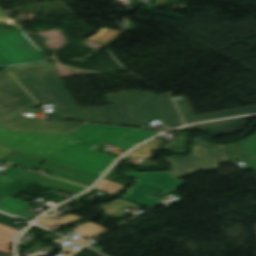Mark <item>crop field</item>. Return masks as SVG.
Returning <instances> with one entry per match:
<instances>
[{"label": "crop field", "mask_w": 256, "mask_h": 256, "mask_svg": "<svg viewBox=\"0 0 256 256\" xmlns=\"http://www.w3.org/2000/svg\"><path fill=\"white\" fill-rule=\"evenodd\" d=\"M104 97L109 107L80 108L87 122L139 128L155 119L171 128L183 124L168 93L136 90Z\"/></svg>", "instance_id": "1"}, {"label": "crop field", "mask_w": 256, "mask_h": 256, "mask_svg": "<svg viewBox=\"0 0 256 256\" xmlns=\"http://www.w3.org/2000/svg\"><path fill=\"white\" fill-rule=\"evenodd\" d=\"M130 130L132 129L87 124L69 135L80 141L79 143L74 142L75 140L68 143L48 160L75 169L84 166L101 173L115 157L91 149L103 143L128 149L135 144L119 141L116 138Z\"/></svg>", "instance_id": "2"}, {"label": "crop field", "mask_w": 256, "mask_h": 256, "mask_svg": "<svg viewBox=\"0 0 256 256\" xmlns=\"http://www.w3.org/2000/svg\"><path fill=\"white\" fill-rule=\"evenodd\" d=\"M8 70L39 104L53 103L52 114L86 122L51 62L10 67Z\"/></svg>", "instance_id": "3"}, {"label": "crop field", "mask_w": 256, "mask_h": 256, "mask_svg": "<svg viewBox=\"0 0 256 256\" xmlns=\"http://www.w3.org/2000/svg\"><path fill=\"white\" fill-rule=\"evenodd\" d=\"M37 104L19 86L6 70L0 71V125L9 130L70 134L83 123L42 121L25 117L20 112Z\"/></svg>", "instance_id": "4"}, {"label": "crop field", "mask_w": 256, "mask_h": 256, "mask_svg": "<svg viewBox=\"0 0 256 256\" xmlns=\"http://www.w3.org/2000/svg\"><path fill=\"white\" fill-rule=\"evenodd\" d=\"M176 179L195 173L197 170L219 169L222 161H229L225 145L210 144L194 137L191 153L185 156L166 158Z\"/></svg>", "instance_id": "5"}, {"label": "crop field", "mask_w": 256, "mask_h": 256, "mask_svg": "<svg viewBox=\"0 0 256 256\" xmlns=\"http://www.w3.org/2000/svg\"><path fill=\"white\" fill-rule=\"evenodd\" d=\"M72 140L65 134L14 132L0 126L1 145L44 159Z\"/></svg>", "instance_id": "6"}, {"label": "crop field", "mask_w": 256, "mask_h": 256, "mask_svg": "<svg viewBox=\"0 0 256 256\" xmlns=\"http://www.w3.org/2000/svg\"><path fill=\"white\" fill-rule=\"evenodd\" d=\"M48 60L21 30L0 28V67Z\"/></svg>", "instance_id": "7"}, {"label": "crop field", "mask_w": 256, "mask_h": 256, "mask_svg": "<svg viewBox=\"0 0 256 256\" xmlns=\"http://www.w3.org/2000/svg\"><path fill=\"white\" fill-rule=\"evenodd\" d=\"M126 176L138 179L137 184L127 191L125 197L140 204L152 207L157 203L140 198L145 193L155 189L159 191H172L179 188L184 181L176 180L170 172L137 173L126 172Z\"/></svg>", "instance_id": "8"}, {"label": "crop field", "mask_w": 256, "mask_h": 256, "mask_svg": "<svg viewBox=\"0 0 256 256\" xmlns=\"http://www.w3.org/2000/svg\"><path fill=\"white\" fill-rule=\"evenodd\" d=\"M249 118H254V117L205 123V124L196 125V126H192V127H189L186 129H180V130L198 129L199 131H201V132L207 134L208 136H210L211 138H213V137H217L219 135L243 130L242 126L245 124L244 120L249 119Z\"/></svg>", "instance_id": "9"}, {"label": "crop field", "mask_w": 256, "mask_h": 256, "mask_svg": "<svg viewBox=\"0 0 256 256\" xmlns=\"http://www.w3.org/2000/svg\"><path fill=\"white\" fill-rule=\"evenodd\" d=\"M176 103H177L179 109L181 110L186 123L195 122V121H203V120L213 119V118L228 117V116H233V115L249 114V113L256 112V107L250 106V107H245V108L228 110V111H224V112L217 113V114L195 117L193 112L189 111L185 101L176 102Z\"/></svg>", "instance_id": "10"}, {"label": "crop field", "mask_w": 256, "mask_h": 256, "mask_svg": "<svg viewBox=\"0 0 256 256\" xmlns=\"http://www.w3.org/2000/svg\"><path fill=\"white\" fill-rule=\"evenodd\" d=\"M43 161H44V159L31 156V157L27 158L26 160L22 161L18 166L31 170V169H34L35 167H37ZM39 169H43V170L52 172L50 174V176H53L56 178H58V177L66 178L76 171L75 169H72V168H69L66 166H62V165H59V164H56V163H53L50 161H47L45 164H43L41 167H39Z\"/></svg>", "instance_id": "11"}, {"label": "crop field", "mask_w": 256, "mask_h": 256, "mask_svg": "<svg viewBox=\"0 0 256 256\" xmlns=\"http://www.w3.org/2000/svg\"><path fill=\"white\" fill-rule=\"evenodd\" d=\"M30 204L31 203L7 196L0 201V210L27 220H33V218L36 216V213L23 210Z\"/></svg>", "instance_id": "12"}, {"label": "crop field", "mask_w": 256, "mask_h": 256, "mask_svg": "<svg viewBox=\"0 0 256 256\" xmlns=\"http://www.w3.org/2000/svg\"><path fill=\"white\" fill-rule=\"evenodd\" d=\"M7 173L33 181V182H37L49 188L53 187L55 184L59 182V180H55V179L31 172L28 170L17 168V167L11 169Z\"/></svg>", "instance_id": "13"}, {"label": "crop field", "mask_w": 256, "mask_h": 256, "mask_svg": "<svg viewBox=\"0 0 256 256\" xmlns=\"http://www.w3.org/2000/svg\"><path fill=\"white\" fill-rule=\"evenodd\" d=\"M78 229L76 230H73L79 234H81L82 236L77 238V239H74L82 244H85L87 242H89L88 240L82 238L83 236L90 239V238H93L97 235H99L100 233H102L104 230V228L92 223V222H89V223H86V224H83V225H80V226H77Z\"/></svg>", "instance_id": "14"}, {"label": "crop field", "mask_w": 256, "mask_h": 256, "mask_svg": "<svg viewBox=\"0 0 256 256\" xmlns=\"http://www.w3.org/2000/svg\"><path fill=\"white\" fill-rule=\"evenodd\" d=\"M29 156L30 155L19 152L17 150H13L10 153H8L7 155L0 158V163L2 160H4V161L11 162L14 165H18L22 160L26 159ZM17 178L18 177L8 175V174H6L5 176L0 175V183L8 184Z\"/></svg>", "instance_id": "15"}, {"label": "crop field", "mask_w": 256, "mask_h": 256, "mask_svg": "<svg viewBox=\"0 0 256 256\" xmlns=\"http://www.w3.org/2000/svg\"><path fill=\"white\" fill-rule=\"evenodd\" d=\"M32 183L33 182L19 178L8 185L0 184V199L5 197L7 194L15 196Z\"/></svg>", "instance_id": "16"}, {"label": "crop field", "mask_w": 256, "mask_h": 256, "mask_svg": "<svg viewBox=\"0 0 256 256\" xmlns=\"http://www.w3.org/2000/svg\"><path fill=\"white\" fill-rule=\"evenodd\" d=\"M18 234V230L0 225V252L11 255L9 246Z\"/></svg>", "instance_id": "17"}, {"label": "crop field", "mask_w": 256, "mask_h": 256, "mask_svg": "<svg viewBox=\"0 0 256 256\" xmlns=\"http://www.w3.org/2000/svg\"><path fill=\"white\" fill-rule=\"evenodd\" d=\"M156 133H158V132L134 129L117 139L137 144L140 141H142Z\"/></svg>", "instance_id": "18"}, {"label": "crop field", "mask_w": 256, "mask_h": 256, "mask_svg": "<svg viewBox=\"0 0 256 256\" xmlns=\"http://www.w3.org/2000/svg\"><path fill=\"white\" fill-rule=\"evenodd\" d=\"M97 178L98 177L94 175L78 170L74 174H72L70 177L65 179V181H69L72 183L89 187L91 184H93L97 180Z\"/></svg>", "instance_id": "19"}, {"label": "crop field", "mask_w": 256, "mask_h": 256, "mask_svg": "<svg viewBox=\"0 0 256 256\" xmlns=\"http://www.w3.org/2000/svg\"><path fill=\"white\" fill-rule=\"evenodd\" d=\"M119 31L102 28L96 35H92L87 40L107 44L119 35Z\"/></svg>", "instance_id": "20"}, {"label": "crop field", "mask_w": 256, "mask_h": 256, "mask_svg": "<svg viewBox=\"0 0 256 256\" xmlns=\"http://www.w3.org/2000/svg\"><path fill=\"white\" fill-rule=\"evenodd\" d=\"M52 189H55V190H58V191H61V192H64V193H68V194H71V195H76V194L86 190V188H84V187H81V186L76 185V184L64 182V181L59 182Z\"/></svg>", "instance_id": "21"}, {"label": "crop field", "mask_w": 256, "mask_h": 256, "mask_svg": "<svg viewBox=\"0 0 256 256\" xmlns=\"http://www.w3.org/2000/svg\"><path fill=\"white\" fill-rule=\"evenodd\" d=\"M124 185L119 184V183H115L109 180H105L103 179V181L98 184L95 189L101 190L103 192L109 193V194H116L121 187H123Z\"/></svg>", "instance_id": "22"}, {"label": "crop field", "mask_w": 256, "mask_h": 256, "mask_svg": "<svg viewBox=\"0 0 256 256\" xmlns=\"http://www.w3.org/2000/svg\"><path fill=\"white\" fill-rule=\"evenodd\" d=\"M244 154H255L256 155V134L248 139L239 141ZM256 170V167H255Z\"/></svg>", "instance_id": "23"}, {"label": "crop field", "mask_w": 256, "mask_h": 256, "mask_svg": "<svg viewBox=\"0 0 256 256\" xmlns=\"http://www.w3.org/2000/svg\"><path fill=\"white\" fill-rule=\"evenodd\" d=\"M17 221V219H14L12 217L0 214V224L15 228L20 230L21 228H23V226L20 225H16L14 224Z\"/></svg>", "instance_id": "24"}, {"label": "crop field", "mask_w": 256, "mask_h": 256, "mask_svg": "<svg viewBox=\"0 0 256 256\" xmlns=\"http://www.w3.org/2000/svg\"><path fill=\"white\" fill-rule=\"evenodd\" d=\"M43 218H48V219L54 220V221H56L58 223H61V224H65V223H69V222L81 219L80 217H77V216H74V215H70V214H68L64 218L60 219L59 221L56 220V219H53V218L45 217V216H43Z\"/></svg>", "instance_id": "25"}, {"label": "crop field", "mask_w": 256, "mask_h": 256, "mask_svg": "<svg viewBox=\"0 0 256 256\" xmlns=\"http://www.w3.org/2000/svg\"><path fill=\"white\" fill-rule=\"evenodd\" d=\"M245 160L247 162V164L249 165V167L254 170L255 167V162H256V156L254 155H244Z\"/></svg>", "instance_id": "26"}, {"label": "crop field", "mask_w": 256, "mask_h": 256, "mask_svg": "<svg viewBox=\"0 0 256 256\" xmlns=\"http://www.w3.org/2000/svg\"><path fill=\"white\" fill-rule=\"evenodd\" d=\"M157 192H159V191L153 190V191L149 192L148 194L144 195L142 198H145V199H148V200H151V201H154V202L159 203V202H161L162 200H159V199H157V198L152 197V196L155 195Z\"/></svg>", "instance_id": "27"}, {"label": "crop field", "mask_w": 256, "mask_h": 256, "mask_svg": "<svg viewBox=\"0 0 256 256\" xmlns=\"http://www.w3.org/2000/svg\"><path fill=\"white\" fill-rule=\"evenodd\" d=\"M37 223L40 224V225H43L45 227H49V226L55 224V222H52V221L47 220V219H40Z\"/></svg>", "instance_id": "28"}, {"label": "crop field", "mask_w": 256, "mask_h": 256, "mask_svg": "<svg viewBox=\"0 0 256 256\" xmlns=\"http://www.w3.org/2000/svg\"><path fill=\"white\" fill-rule=\"evenodd\" d=\"M12 149L0 145V157L10 152Z\"/></svg>", "instance_id": "29"}, {"label": "crop field", "mask_w": 256, "mask_h": 256, "mask_svg": "<svg viewBox=\"0 0 256 256\" xmlns=\"http://www.w3.org/2000/svg\"><path fill=\"white\" fill-rule=\"evenodd\" d=\"M9 18L0 10V22L1 23H8L7 20Z\"/></svg>", "instance_id": "30"}, {"label": "crop field", "mask_w": 256, "mask_h": 256, "mask_svg": "<svg viewBox=\"0 0 256 256\" xmlns=\"http://www.w3.org/2000/svg\"><path fill=\"white\" fill-rule=\"evenodd\" d=\"M80 170L86 171V172H88V173H91V174H94V175H97V176L99 175V173L94 172V171H91V170L86 169V168H84V167H82Z\"/></svg>", "instance_id": "31"}]
</instances>
